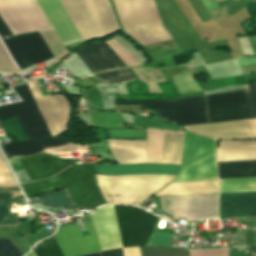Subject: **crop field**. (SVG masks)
<instances>
[{
	"mask_svg": "<svg viewBox=\"0 0 256 256\" xmlns=\"http://www.w3.org/2000/svg\"><path fill=\"white\" fill-rule=\"evenodd\" d=\"M216 140L185 130L180 165L137 164L97 165V175L177 174L137 176H96L108 203L139 205L172 180L202 181L217 179ZM95 181L94 164L76 165L48 180L22 185L28 197L67 188L75 206L87 210L107 204Z\"/></svg>",
	"mask_w": 256,
	"mask_h": 256,
	"instance_id": "crop-field-1",
	"label": "crop field"
},
{
	"mask_svg": "<svg viewBox=\"0 0 256 256\" xmlns=\"http://www.w3.org/2000/svg\"><path fill=\"white\" fill-rule=\"evenodd\" d=\"M114 207L123 247L145 245L157 218L134 207ZM114 207L105 205L90 212L102 250L122 247Z\"/></svg>",
	"mask_w": 256,
	"mask_h": 256,
	"instance_id": "crop-field-2",
	"label": "crop field"
},
{
	"mask_svg": "<svg viewBox=\"0 0 256 256\" xmlns=\"http://www.w3.org/2000/svg\"><path fill=\"white\" fill-rule=\"evenodd\" d=\"M147 131L148 162L161 160L165 130ZM183 131L166 130L161 163L179 164ZM109 151L118 163L147 162L146 140H106Z\"/></svg>",
	"mask_w": 256,
	"mask_h": 256,
	"instance_id": "crop-field-3",
	"label": "crop field"
},
{
	"mask_svg": "<svg viewBox=\"0 0 256 256\" xmlns=\"http://www.w3.org/2000/svg\"><path fill=\"white\" fill-rule=\"evenodd\" d=\"M124 31L142 46L171 39L153 0H113Z\"/></svg>",
	"mask_w": 256,
	"mask_h": 256,
	"instance_id": "crop-field-4",
	"label": "crop field"
},
{
	"mask_svg": "<svg viewBox=\"0 0 256 256\" xmlns=\"http://www.w3.org/2000/svg\"><path fill=\"white\" fill-rule=\"evenodd\" d=\"M84 41L118 30L109 0H61Z\"/></svg>",
	"mask_w": 256,
	"mask_h": 256,
	"instance_id": "crop-field-5",
	"label": "crop field"
},
{
	"mask_svg": "<svg viewBox=\"0 0 256 256\" xmlns=\"http://www.w3.org/2000/svg\"><path fill=\"white\" fill-rule=\"evenodd\" d=\"M141 104V109L155 108L156 115L180 125L207 123L204 96L172 100L116 101V105Z\"/></svg>",
	"mask_w": 256,
	"mask_h": 256,
	"instance_id": "crop-field-6",
	"label": "crop field"
},
{
	"mask_svg": "<svg viewBox=\"0 0 256 256\" xmlns=\"http://www.w3.org/2000/svg\"><path fill=\"white\" fill-rule=\"evenodd\" d=\"M0 16L13 35L51 28L35 0H0Z\"/></svg>",
	"mask_w": 256,
	"mask_h": 256,
	"instance_id": "crop-field-7",
	"label": "crop field"
},
{
	"mask_svg": "<svg viewBox=\"0 0 256 256\" xmlns=\"http://www.w3.org/2000/svg\"><path fill=\"white\" fill-rule=\"evenodd\" d=\"M218 194L160 197L162 211L174 218H217Z\"/></svg>",
	"mask_w": 256,
	"mask_h": 256,
	"instance_id": "crop-field-8",
	"label": "crop field"
},
{
	"mask_svg": "<svg viewBox=\"0 0 256 256\" xmlns=\"http://www.w3.org/2000/svg\"><path fill=\"white\" fill-rule=\"evenodd\" d=\"M209 123L252 118L244 90L206 97Z\"/></svg>",
	"mask_w": 256,
	"mask_h": 256,
	"instance_id": "crop-field-9",
	"label": "crop field"
},
{
	"mask_svg": "<svg viewBox=\"0 0 256 256\" xmlns=\"http://www.w3.org/2000/svg\"><path fill=\"white\" fill-rule=\"evenodd\" d=\"M90 235L81 236L76 224L61 227L54 236L64 256L100 251L96 232L90 221L85 222Z\"/></svg>",
	"mask_w": 256,
	"mask_h": 256,
	"instance_id": "crop-field-10",
	"label": "crop field"
},
{
	"mask_svg": "<svg viewBox=\"0 0 256 256\" xmlns=\"http://www.w3.org/2000/svg\"><path fill=\"white\" fill-rule=\"evenodd\" d=\"M75 53L92 73L126 66L105 41L86 44Z\"/></svg>",
	"mask_w": 256,
	"mask_h": 256,
	"instance_id": "crop-field-11",
	"label": "crop field"
},
{
	"mask_svg": "<svg viewBox=\"0 0 256 256\" xmlns=\"http://www.w3.org/2000/svg\"><path fill=\"white\" fill-rule=\"evenodd\" d=\"M88 145L89 143H78L67 139H40L11 142L1 148L5 156H26L52 150L88 148Z\"/></svg>",
	"mask_w": 256,
	"mask_h": 256,
	"instance_id": "crop-field-12",
	"label": "crop field"
},
{
	"mask_svg": "<svg viewBox=\"0 0 256 256\" xmlns=\"http://www.w3.org/2000/svg\"><path fill=\"white\" fill-rule=\"evenodd\" d=\"M220 219L256 217V192L220 194Z\"/></svg>",
	"mask_w": 256,
	"mask_h": 256,
	"instance_id": "crop-field-13",
	"label": "crop field"
},
{
	"mask_svg": "<svg viewBox=\"0 0 256 256\" xmlns=\"http://www.w3.org/2000/svg\"><path fill=\"white\" fill-rule=\"evenodd\" d=\"M61 42L81 37L59 0H37Z\"/></svg>",
	"mask_w": 256,
	"mask_h": 256,
	"instance_id": "crop-field-14",
	"label": "crop field"
},
{
	"mask_svg": "<svg viewBox=\"0 0 256 256\" xmlns=\"http://www.w3.org/2000/svg\"><path fill=\"white\" fill-rule=\"evenodd\" d=\"M31 181L41 180L56 175L67 168L71 159L54 158L48 154H40L26 158H20Z\"/></svg>",
	"mask_w": 256,
	"mask_h": 256,
	"instance_id": "crop-field-15",
	"label": "crop field"
},
{
	"mask_svg": "<svg viewBox=\"0 0 256 256\" xmlns=\"http://www.w3.org/2000/svg\"><path fill=\"white\" fill-rule=\"evenodd\" d=\"M185 128H188L196 133L213 136L216 138H253L248 120L209 125L185 126Z\"/></svg>",
	"mask_w": 256,
	"mask_h": 256,
	"instance_id": "crop-field-16",
	"label": "crop field"
},
{
	"mask_svg": "<svg viewBox=\"0 0 256 256\" xmlns=\"http://www.w3.org/2000/svg\"><path fill=\"white\" fill-rule=\"evenodd\" d=\"M217 157L218 161L255 160L256 141H221Z\"/></svg>",
	"mask_w": 256,
	"mask_h": 256,
	"instance_id": "crop-field-17",
	"label": "crop field"
},
{
	"mask_svg": "<svg viewBox=\"0 0 256 256\" xmlns=\"http://www.w3.org/2000/svg\"><path fill=\"white\" fill-rule=\"evenodd\" d=\"M206 193H218V181L172 183L157 193L156 196Z\"/></svg>",
	"mask_w": 256,
	"mask_h": 256,
	"instance_id": "crop-field-18",
	"label": "crop field"
},
{
	"mask_svg": "<svg viewBox=\"0 0 256 256\" xmlns=\"http://www.w3.org/2000/svg\"><path fill=\"white\" fill-rule=\"evenodd\" d=\"M219 178L255 177L256 161L218 162Z\"/></svg>",
	"mask_w": 256,
	"mask_h": 256,
	"instance_id": "crop-field-19",
	"label": "crop field"
},
{
	"mask_svg": "<svg viewBox=\"0 0 256 256\" xmlns=\"http://www.w3.org/2000/svg\"><path fill=\"white\" fill-rule=\"evenodd\" d=\"M220 193L256 191V178L219 180Z\"/></svg>",
	"mask_w": 256,
	"mask_h": 256,
	"instance_id": "crop-field-20",
	"label": "crop field"
},
{
	"mask_svg": "<svg viewBox=\"0 0 256 256\" xmlns=\"http://www.w3.org/2000/svg\"><path fill=\"white\" fill-rule=\"evenodd\" d=\"M96 127H126L117 113H89Z\"/></svg>",
	"mask_w": 256,
	"mask_h": 256,
	"instance_id": "crop-field-21",
	"label": "crop field"
},
{
	"mask_svg": "<svg viewBox=\"0 0 256 256\" xmlns=\"http://www.w3.org/2000/svg\"><path fill=\"white\" fill-rule=\"evenodd\" d=\"M42 206L64 207L73 205L66 190L38 197Z\"/></svg>",
	"mask_w": 256,
	"mask_h": 256,
	"instance_id": "crop-field-22",
	"label": "crop field"
},
{
	"mask_svg": "<svg viewBox=\"0 0 256 256\" xmlns=\"http://www.w3.org/2000/svg\"><path fill=\"white\" fill-rule=\"evenodd\" d=\"M95 76L100 77L105 82L112 85H119L132 80H136V77L133 75L129 68L106 72Z\"/></svg>",
	"mask_w": 256,
	"mask_h": 256,
	"instance_id": "crop-field-23",
	"label": "crop field"
},
{
	"mask_svg": "<svg viewBox=\"0 0 256 256\" xmlns=\"http://www.w3.org/2000/svg\"><path fill=\"white\" fill-rule=\"evenodd\" d=\"M40 33H41L42 37L44 38L46 44L48 45L49 49L51 50L54 57H56L58 59L61 56L68 53L62 47V45L59 42L57 36L55 35L53 29L42 30V31H40Z\"/></svg>",
	"mask_w": 256,
	"mask_h": 256,
	"instance_id": "crop-field-24",
	"label": "crop field"
},
{
	"mask_svg": "<svg viewBox=\"0 0 256 256\" xmlns=\"http://www.w3.org/2000/svg\"><path fill=\"white\" fill-rule=\"evenodd\" d=\"M135 126L152 127V128H166V129H181L179 126L169 123L165 120L153 118L134 116Z\"/></svg>",
	"mask_w": 256,
	"mask_h": 256,
	"instance_id": "crop-field-25",
	"label": "crop field"
},
{
	"mask_svg": "<svg viewBox=\"0 0 256 256\" xmlns=\"http://www.w3.org/2000/svg\"><path fill=\"white\" fill-rule=\"evenodd\" d=\"M11 194V192H0V226H17L20 221L7 218Z\"/></svg>",
	"mask_w": 256,
	"mask_h": 256,
	"instance_id": "crop-field-26",
	"label": "crop field"
},
{
	"mask_svg": "<svg viewBox=\"0 0 256 256\" xmlns=\"http://www.w3.org/2000/svg\"><path fill=\"white\" fill-rule=\"evenodd\" d=\"M142 256H187L186 248H141Z\"/></svg>",
	"mask_w": 256,
	"mask_h": 256,
	"instance_id": "crop-field-27",
	"label": "crop field"
},
{
	"mask_svg": "<svg viewBox=\"0 0 256 256\" xmlns=\"http://www.w3.org/2000/svg\"><path fill=\"white\" fill-rule=\"evenodd\" d=\"M34 251L37 256H63L54 238L43 241Z\"/></svg>",
	"mask_w": 256,
	"mask_h": 256,
	"instance_id": "crop-field-28",
	"label": "crop field"
},
{
	"mask_svg": "<svg viewBox=\"0 0 256 256\" xmlns=\"http://www.w3.org/2000/svg\"><path fill=\"white\" fill-rule=\"evenodd\" d=\"M107 43L126 62L127 66L140 65L133 53H128L115 39Z\"/></svg>",
	"mask_w": 256,
	"mask_h": 256,
	"instance_id": "crop-field-29",
	"label": "crop field"
},
{
	"mask_svg": "<svg viewBox=\"0 0 256 256\" xmlns=\"http://www.w3.org/2000/svg\"><path fill=\"white\" fill-rule=\"evenodd\" d=\"M109 136L130 137V138H146L145 129H106Z\"/></svg>",
	"mask_w": 256,
	"mask_h": 256,
	"instance_id": "crop-field-30",
	"label": "crop field"
},
{
	"mask_svg": "<svg viewBox=\"0 0 256 256\" xmlns=\"http://www.w3.org/2000/svg\"><path fill=\"white\" fill-rule=\"evenodd\" d=\"M0 187H18L0 154Z\"/></svg>",
	"mask_w": 256,
	"mask_h": 256,
	"instance_id": "crop-field-31",
	"label": "crop field"
},
{
	"mask_svg": "<svg viewBox=\"0 0 256 256\" xmlns=\"http://www.w3.org/2000/svg\"><path fill=\"white\" fill-rule=\"evenodd\" d=\"M10 238L0 239V256H23Z\"/></svg>",
	"mask_w": 256,
	"mask_h": 256,
	"instance_id": "crop-field-32",
	"label": "crop field"
},
{
	"mask_svg": "<svg viewBox=\"0 0 256 256\" xmlns=\"http://www.w3.org/2000/svg\"><path fill=\"white\" fill-rule=\"evenodd\" d=\"M172 233H152L146 245H170Z\"/></svg>",
	"mask_w": 256,
	"mask_h": 256,
	"instance_id": "crop-field-33",
	"label": "crop field"
},
{
	"mask_svg": "<svg viewBox=\"0 0 256 256\" xmlns=\"http://www.w3.org/2000/svg\"><path fill=\"white\" fill-rule=\"evenodd\" d=\"M243 87L250 104L253 119H256V83Z\"/></svg>",
	"mask_w": 256,
	"mask_h": 256,
	"instance_id": "crop-field-34",
	"label": "crop field"
},
{
	"mask_svg": "<svg viewBox=\"0 0 256 256\" xmlns=\"http://www.w3.org/2000/svg\"><path fill=\"white\" fill-rule=\"evenodd\" d=\"M124 256H140L139 247L123 249ZM122 249H114L102 252V256H123Z\"/></svg>",
	"mask_w": 256,
	"mask_h": 256,
	"instance_id": "crop-field-35",
	"label": "crop field"
},
{
	"mask_svg": "<svg viewBox=\"0 0 256 256\" xmlns=\"http://www.w3.org/2000/svg\"><path fill=\"white\" fill-rule=\"evenodd\" d=\"M190 256H227V250L223 249H204L189 250Z\"/></svg>",
	"mask_w": 256,
	"mask_h": 256,
	"instance_id": "crop-field-36",
	"label": "crop field"
},
{
	"mask_svg": "<svg viewBox=\"0 0 256 256\" xmlns=\"http://www.w3.org/2000/svg\"><path fill=\"white\" fill-rule=\"evenodd\" d=\"M253 238H254V231L244 229L242 244L253 245Z\"/></svg>",
	"mask_w": 256,
	"mask_h": 256,
	"instance_id": "crop-field-37",
	"label": "crop field"
},
{
	"mask_svg": "<svg viewBox=\"0 0 256 256\" xmlns=\"http://www.w3.org/2000/svg\"><path fill=\"white\" fill-rule=\"evenodd\" d=\"M8 161L10 162V164L12 166L13 172L24 170L19 158H10V159H8Z\"/></svg>",
	"mask_w": 256,
	"mask_h": 256,
	"instance_id": "crop-field-38",
	"label": "crop field"
},
{
	"mask_svg": "<svg viewBox=\"0 0 256 256\" xmlns=\"http://www.w3.org/2000/svg\"><path fill=\"white\" fill-rule=\"evenodd\" d=\"M116 110H124L139 113L140 105L116 106Z\"/></svg>",
	"mask_w": 256,
	"mask_h": 256,
	"instance_id": "crop-field-39",
	"label": "crop field"
},
{
	"mask_svg": "<svg viewBox=\"0 0 256 256\" xmlns=\"http://www.w3.org/2000/svg\"><path fill=\"white\" fill-rule=\"evenodd\" d=\"M9 35H11L10 31L8 30V28L5 26V24L0 18V37L9 36Z\"/></svg>",
	"mask_w": 256,
	"mask_h": 256,
	"instance_id": "crop-field-40",
	"label": "crop field"
},
{
	"mask_svg": "<svg viewBox=\"0 0 256 256\" xmlns=\"http://www.w3.org/2000/svg\"><path fill=\"white\" fill-rule=\"evenodd\" d=\"M249 121L252 129L253 137L256 138V120H249Z\"/></svg>",
	"mask_w": 256,
	"mask_h": 256,
	"instance_id": "crop-field-41",
	"label": "crop field"
},
{
	"mask_svg": "<svg viewBox=\"0 0 256 256\" xmlns=\"http://www.w3.org/2000/svg\"><path fill=\"white\" fill-rule=\"evenodd\" d=\"M229 256H250V255L230 250Z\"/></svg>",
	"mask_w": 256,
	"mask_h": 256,
	"instance_id": "crop-field-42",
	"label": "crop field"
},
{
	"mask_svg": "<svg viewBox=\"0 0 256 256\" xmlns=\"http://www.w3.org/2000/svg\"><path fill=\"white\" fill-rule=\"evenodd\" d=\"M247 252L256 254V247L249 246Z\"/></svg>",
	"mask_w": 256,
	"mask_h": 256,
	"instance_id": "crop-field-43",
	"label": "crop field"
},
{
	"mask_svg": "<svg viewBox=\"0 0 256 256\" xmlns=\"http://www.w3.org/2000/svg\"><path fill=\"white\" fill-rule=\"evenodd\" d=\"M86 256H101V252L95 253V254H91V255H86Z\"/></svg>",
	"mask_w": 256,
	"mask_h": 256,
	"instance_id": "crop-field-44",
	"label": "crop field"
},
{
	"mask_svg": "<svg viewBox=\"0 0 256 256\" xmlns=\"http://www.w3.org/2000/svg\"><path fill=\"white\" fill-rule=\"evenodd\" d=\"M27 256H35L34 253L31 251Z\"/></svg>",
	"mask_w": 256,
	"mask_h": 256,
	"instance_id": "crop-field-45",
	"label": "crop field"
}]
</instances>
